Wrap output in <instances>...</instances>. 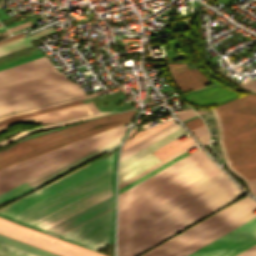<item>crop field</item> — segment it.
<instances>
[{"label":"crop field","mask_w":256,"mask_h":256,"mask_svg":"<svg viewBox=\"0 0 256 256\" xmlns=\"http://www.w3.org/2000/svg\"><path fill=\"white\" fill-rule=\"evenodd\" d=\"M115 154L0 208V215L43 231L115 194Z\"/></svg>","instance_id":"obj_1"},{"label":"crop field","mask_w":256,"mask_h":256,"mask_svg":"<svg viewBox=\"0 0 256 256\" xmlns=\"http://www.w3.org/2000/svg\"><path fill=\"white\" fill-rule=\"evenodd\" d=\"M243 195L220 172L118 229V256H136Z\"/></svg>","instance_id":"obj_2"},{"label":"crop field","mask_w":256,"mask_h":256,"mask_svg":"<svg viewBox=\"0 0 256 256\" xmlns=\"http://www.w3.org/2000/svg\"><path fill=\"white\" fill-rule=\"evenodd\" d=\"M220 172L199 149L119 194L118 228Z\"/></svg>","instance_id":"obj_3"},{"label":"crop field","mask_w":256,"mask_h":256,"mask_svg":"<svg viewBox=\"0 0 256 256\" xmlns=\"http://www.w3.org/2000/svg\"><path fill=\"white\" fill-rule=\"evenodd\" d=\"M83 95L45 56L0 71V115Z\"/></svg>","instance_id":"obj_4"},{"label":"crop field","mask_w":256,"mask_h":256,"mask_svg":"<svg viewBox=\"0 0 256 256\" xmlns=\"http://www.w3.org/2000/svg\"><path fill=\"white\" fill-rule=\"evenodd\" d=\"M211 112L225 164L241 179H255L256 96L241 97Z\"/></svg>","instance_id":"obj_5"},{"label":"crop field","mask_w":256,"mask_h":256,"mask_svg":"<svg viewBox=\"0 0 256 256\" xmlns=\"http://www.w3.org/2000/svg\"><path fill=\"white\" fill-rule=\"evenodd\" d=\"M255 208L246 196L140 256H170Z\"/></svg>","instance_id":"obj_6"},{"label":"crop field","mask_w":256,"mask_h":256,"mask_svg":"<svg viewBox=\"0 0 256 256\" xmlns=\"http://www.w3.org/2000/svg\"><path fill=\"white\" fill-rule=\"evenodd\" d=\"M0 233L63 256H104L0 218Z\"/></svg>","instance_id":"obj_7"},{"label":"crop field","mask_w":256,"mask_h":256,"mask_svg":"<svg viewBox=\"0 0 256 256\" xmlns=\"http://www.w3.org/2000/svg\"><path fill=\"white\" fill-rule=\"evenodd\" d=\"M135 111L136 109L122 113H114L94 120H89L82 124L70 126L64 129H60L48 134H44L32 139L19 142L12 147L0 150V161L18 155L20 153L32 150L34 148L49 144L51 142L63 139L65 137L77 134L82 131L132 117Z\"/></svg>","instance_id":"obj_8"},{"label":"crop field","mask_w":256,"mask_h":256,"mask_svg":"<svg viewBox=\"0 0 256 256\" xmlns=\"http://www.w3.org/2000/svg\"><path fill=\"white\" fill-rule=\"evenodd\" d=\"M126 130L127 129L122 130L117 133H114L112 135H109V136L99 139L97 141L91 142V143L81 146L79 148L73 149L71 151L63 153L56 157L50 158L48 160H45L43 162H40L33 166H30V167L23 169L21 171H18L16 173H12V174L8 175L7 177L3 178L2 180H0V193L6 191L16 185H19V184L39 175L47 170H50L66 161H69L81 154H84V153H86L94 148H97L109 141H112V140L122 136Z\"/></svg>","instance_id":"obj_9"},{"label":"crop field","mask_w":256,"mask_h":256,"mask_svg":"<svg viewBox=\"0 0 256 256\" xmlns=\"http://www.w3.org/2000/svg\"><path fill=\"white\" fill-rule=\"evenodd\" d=\"M256 243V218L188 256H234Z\"/></svg>","instance_id":"obj_10"},{"label":"crop field","mask_w":256,"mask_h":256,"mask_svg":"<svg viewBox=\"0 0 256 256\" xmlns=\"http://www.w3.org/2000/svg\"><path fill=\"white\" fill-rule=\"evenodd\" d=\"M115 209L61 236L72 243L96 250L114 241Z\"/></svg>","instance_id":"obj_11"},{"label":"crop field","mask_w":256,"mask_h":256,"mask_svg":"<svg viewBox=\"0 0 256 256\" xmlns=\"http://www.w3.org/2000/svg\"><path fill=\"white\" fill-rule=\"evenodd\" d=\"M183 134L185 133L180 128L172 132L171 134L163 137L162 139L154 142L153 144L147 146L146 148L138 151L137 153L129 156L128 158L120 161L118 184L124 182L132 176L161 161L151 152Z\"/></svg>","instance_id":"obj_12"},{"label":"crop field","mask_w":256,"mask_h":256,"mask_svg":"<svg viewBox=\"0 0 256 256\" xmlns=\"http://www.w3.org/2000/svg\"><path fill=\"white\" fill-rule=\"evenodd\" d=\"M121 138L122 137L0 194V203L20 196V195L32 190L33 188L39 186L40 184L44 183L45 181L57 176L58 174L68 170L69 168L77 165L78 163L118 144V142L120 141Z\"/></svg>","instance_id":"obj_13"},{"label":"crop field","mask_w":256,"mask_h":256,"mask_svg":"<svg viewBox=\"0 0 256 256\" xmlns=\"http://www.w3.org/2000/svg\"><path fill=\"white\" fill-rule=\"evenodd\" d=\"M113 208H115V195L91 206L90 208L43 232L59 237Z\"/></svg>","instance_id":"obj_14"},{"label":"crop field","mask_w":256,"mask_h":256,"mask_svg":"<svg viewBox=\"0 0 256 256\" xmlns=\"http://www.w3.org/2000/svg\"><path fill=\"white\" fill-rule=\"evenodd\" d=\"M122 129H125L124 125L118 126V127H116V128L107 130V131H105V132H102V133L93 135V136H91V137L82 139V140H80V141L71 143V144H69V145H66V146L57 148V149H55V150L46 152V153H44V154L35 156V157H33V158H30V159H27V160H24V161H21V162H19V163L10 165V166H8V167H5V168H3V169L0 170V179H2L3 177L7 176L8 174H10V173H12V172H14V171H17V170H19V169L25 168V167H27V166H30V165L35 164V163H37V162L43 161V160L48 159V158H50V157H53V156H55V155L61 154V153H63V152H66V151L71 150V149H73V148H76V147H78V146L84 145V144L89 143V142H91V141H94V140H96V139H99V138H102V137L107 136V135H109V134H112V133H114V132L120 131V130H122Z\"/></svg>","instance_id":"obj_15"},{"label":"crop field","mask_w":256,"mask_h":256,"mask_svg":"<svg viewBox=\"0 0 256 256\" xmlns=\"http://www.w3.org/2000/svg\"><path fill=\"white\" fill-rule=\"evenodd\" d=\"M97 112H99V111L94 106V104L89 102L86 104H82V105H78V106H74V107H70V108H66V109H62V110H57V111H53V112H49V113H45V114H41V115H36V116L12 121L6 125L1 126L0 132L5 130L9 125H11L13 123L32 119V118H34L36 123H51V122H56V121L65 120V119H69V118L93 114V113H97Z\"/></svg>","instance_id":"obj_16"},{"label":"crop field","mask_w":256,"mask_h":256,"mask_svg":"<svg viewBox=\"0 0 256 256\" xmlns=\"http://www.w3.org/2000/svg\"><path fill=\"white\" fill-rule=\"evenodd\" d=\"M168 66L172 78L182 91L206 88L204 85L209 83L197 68H194L195 71L192 72L193 69L188 70L187 64H168Z\"/></svg>","instance_id":"obj_17"},{"label":"crop field","mask_w":256,"mask_h":256,"mask_svg":"<svg viewBox=\"0 0 256 256\" xmlns=\"http://www.w3.org/2000/svg\"><path fill=\"white\" fill-rule=\"evenodd\" d=\"M131 119H132V118H129V119L122 120V121H119V122H116V123H112V124H109V125H106V126H102V127L96 128V129H92V130H90V131H87V132H84V133L75 135V136H73V137H70V138H67V139H64V140H61V141L52 143V144H50V145H47V146H44V147H41V148L32 150V151H30V152H27V153H24V154H21V155H18V156L9 158V159H7V160L1 161V162H0V169L3 168V167H5V166H8V165H10V164L19 162V161L24 160V159H27V158H30V157H32V156H35V155L44 153V152H46V151L55 149V148H57V147L66 145V144H68V143H71V142L77 141V140H79V139L88 137V136H90V135H93V134L102 132V131H104V130L113 128V127H115V126L124 124V123H126V122L131 121Z\"/></svg>","instance_id":"obj_18"},{"label":"crop field","mask_w":256,"mask_h":256,"mask_svg":"<svg viewBox=\"0 0 256 256\" xmlns=\"http://www.w3.org/2000/svg\"><path fill=\"white\" fill-rule=\"evenodd\" d=\"M234 97H236L234 91L216 87L188 96H184V99L192 104L205 107V105H218Z\"/></svg>","instance_id":"obj_19"},{"label":"crop field","mask_w":256,"mask_h":256,"mask_svg":"<svg viewBox=\"0 0 256 256\" xmlns=\"http://www.w3.org/2000/svg\"><path fill=\"white\" fill-rule=\"evenodd\" d=\"M254 217H256V215L250 212V213L244 215L243 217H241V218L235 220L234 222H232V223L226 225L225 227H223V228L217 230L216 232H214V233L208 235L207 237L201 239L200 241H198V242L192 244L191 246H189V247L183 249L182 251H180V252L174 254L173 256H186V255H188L189 253H191V252L197 250L198 248H200V247L206 245L207 243H209V242L215 240L216 238H218V237L224 235L225 233L231 231L232 229H234V228L240 226L241 224H243V223L249 221L250 219H252V218H254Z\"/></svg>","instance_id":"obj_20"},{"label":"crop field","mask_w":256,"mask_h":256,"mask_svg":"<svg viewBox=\"0 0 256 256\" xmlns=\"http://www.w3.org/2000/svg\"><path fill=\"white\" fill-rule=\"evenodd\" d=\"M55 32H57V30L52 29L50 27L46 30L32 34L30 36L23 37V38L14 40L12 42L0 45V55H4V54L10 53V52L31 46L32 44L30 41L41 38L43 36H46V35H49L52 33H55Z\"/></svg>","instance_id":"obj_21"},{"label":"crop field","mask_w":256,"mask_h":256,"mask_svg":"<svg viewBox=\"0 0 256 256\" xmlns=\"http://www.w3.org/2000/svg\"><path fill=\"white\" fill-rule=\"evenodd\" d=\"M0 243H3L8 246L20 249L22 251L34 254L36 256H60L58 254L46 251L44 249L35 247L33 245L21 242L19 240L10 238V237L2 235V234H0Z\"/></svg>","instance_id":"obj_22"},{"label":"crop field","mask_w":256,"mask_h":256,"mask_svg":"<svg viewBox=\"0 0 256 256\" xmlns=\"http://www.w3.org/2000/svg\"><path fill=\"white\" fill-rule=\"evenodd\" d=\"M192 143L194 142L188 136L182 142L177 139L152 153L162 160Z\"/></svg>","instance_id":"obj_23"},{"label":"crop field","mask_w":256,"mask_h":256,"mask_svg":"<svg viewBox=\"0 0 256 256\" xmlns=\"http://www.w3.org/2000/svg\"><path fill=\"white\" fill-rule=\"evenodd\" d=\"M172 120H174V119H171V120L166 121V122H164V123H161V124L152 126V127H150V128L144 129V130H142V131H140V132L138 131V132L128 141V139H129V138L132 136V134L136 131V129L133 128L132 131L130 132L129 136H128L127 139H126V141H125V143H124V145H123V147H122V150L125 149V148H127V147H129L130 145H132V144L138 142L139 140L145 138L146 136H148V135L154 133L155 131H157V130L163 128L164 126H166V125L172 123Z\"/></svg>","instance_id":"obj_24"},{"label":"crop field","mask_w":256,"mask_h":256,"mask_svg":"<svg viewBox=\"0 0 256 256\" xmlns=\"http://www.w3.org/2000/svg\"><path fill=\"white\" fill-rule=\"evenodd\" d=\"M102 114H106V113H99V114H95V115H91V116H87V117H82V118H78V119H74V120H70V121L61 122L62 124H60V125L50 124V125H45V126L37 127V128L31 129V130H26V131H23V132L17 134L16 136H14L12 138H8V139H5V140L1 141L0 145L4 144V143H7V142H10V141H13L15 139H18L20 137H23V136H25V135H27L29 133L34 132V131L48 129V128H54V127H59V126H63V125H67V124H71V123H75V122H79V121L85 120L87 118L99 116V115H102Z\"/></svg>","instance_id":"obj_25"},{"label":"crop field","mask_w":256,"mask_h":256,"mask_svg":"<svg viewBox=\"0 0 256 256\" xmlns=\"http://www.w3.org/2000/svg\"><path fill=\"white\" fill-rule=\"evenodd\" d=\"M186 155H188V153H187V152H185V153H183V154L179 155L178 157H176V158H174V159L170 160L169 162H167V163H165V164L161 165L160 167H158V168L154 169L153 171H151V172H149V173L145 174L144 176H142V177L138 178L137 180L133 181L132 183H130V184L126 185L125 187H123V188L119 189V193H121V192L125 191L126 189H128V188L132 187L133 185H135V184H137V183L141 182L142 180H144V179L148 178L149 176H151V175L155 174L156 172H158V171L162 170L163 168H165V167L169 166L170 164H172V163L176 162L177 160H179V159H181V158L185 157Z\"/></svg>","instance_id":"obj_26"},{"label":"crop field","mask_w":256,"mask_h":256,"mask_svg":"<svg viewBox=\"0 0 256 256\" xmlns=\"http://www.w3.org/2000/svg\"><path fill=\"white\" fill-rule=\"evenodd\" d=\"M82 103H83V101L80 100V101H76V102H72V103H68V104H64V105H60V106H56V107H52V108H48V109H44V110H40V111H36V112H32V113H28V114L16 116V117H12V118H9L7 120H4V121L0 122V126L3 125V124H6V123H8L12 120H16V119L36 115V114H41V113H45V112H49V111H53V110H57V109H62V108H66V107H70V106H74V105H78V104H82Z\"/></svg>","instance_id":"obj_27"},{"label":"crop field","mask_w":256,"mask_h":256,"mask_svg":"<svg viewBox=\"0 0 256 256\" xmlns=\"http://www.w3.org/2000/svg\"><path fill=\"white\" fill-rule=\"evenodd\" d=\"M103 92H105V90L97 92V93L90 94L88 96H83V97H79V98H75V99H71V100H67V101H63V102H58V103H54V104L38 107V108H35V109H31V110H27V111H23V112H19V113L5 115V116L0 117V121H2L4 119H7L9 117H12V116H16V115H20V114H24V113H28V112H32V111H36V110H40V109H44V108H48V107H52V106H56V105H60V104L68 103V102H72V101H76V100H80V99H83V98H86V97H90V96L101 94Z\"/></svg>","instance_id":"obj_28"},{"label":"crop field","mask_w":256,"mask_h":256,"mask_svg":"<svg viewBox=\"0 0 256 256\" xmlns=\"http://www.w3.org/2000/svg\"><path fill=\"white\" fill-rule=\"evenodd\" d=\"M194 146H196V145H195V143H194V144H192V145H190V146H188V147H186L185 149H183V150H181V151L177 152L176 154H174V155L170 156L169 158H167V159H165V160L161 161L160 163H158V164H156V165L152 166L151 168H149V169H147V170L143 171L142 173H140V174L136 175L135 177H133V178H131V179L127 180L126 182H124V183H122V184L118 185V188H120V187H122V186L126 185L127 183H129V182H131V181L135 180L136 178H138V177H140V176L144 175L145 173H147V172L151 171L152 169H154V168L158 167L159 165H161V164L165 163L166 161L170 160L171 158H173V157L177 156L178 154H180V153H182V152H184V151H187L188 149H190V148H192V147H194Z\"/></svg>","instance_id":"obj_29"},{"label":"crop field","mask_w":256,"mask_h":256,"mask_svg":"<svg viewBox=\"0 0 256 256\" xmlns=\"http://www.w3.org/2000/svg\"><path fill=\"white\" fill-rule=\"evenodd\" d=\"M178 128H180V127L176 125V126L170 128V129H168L167 131L161 133L160 135H158V136L152 138L151 140L145 142L144 144H142V145L136 147L135 149L129 151L128 153H126V154L120 156V160L123 159V158H125V157H127V156H129L130 154H132V153L138 151L139 149H141V148H143V147L149 145L150 143H152V142H154V141L160 139L161 137H163V136L169 134L170 132H172V131H174V130H176V129H178Z\"/></svg>","instance_id":"obj_30"},{"label":"crop field","mask_w":256,"mask_h":256,"mask_svg":"<svg viewBox=\"0 0 256 256\" xmlns=\"http://www.w3.org/2000/svg\"><path fill=\"white\" fill-rule=\"evenodd\" d=\"M174 125H175V124H173V123H172V124H170V125H168V126L164 127L163 129H161V130H159V131L155 132L154 134H152V135L148 136L147 138H145V139H143V140L139 141L138 143H136V144H134V145L130 146L129 148H127V149H125V150L121 151V154H120V155H122V154H124V153L128 152L129 150H131V149L135 148L136 146H138V145H140V144L144 143L145 141H147V140L151 139L152 137H154V136H156V135L160 134L161 132H163V131L167 130L168 128H170V127H172V126H174Z\"/></svg>","instance_id":"obj_31"},{"label":"crop field","mask_w":256,"mask_h":256,"mask_svg":"<svg viewBox=\"0 0 256 256\" xmlns=\"http://www.w3.org/2000/svg\"><path fill=\"white\" fill-rule=\"evenodd\" d=\"M40 56H43V55L41 53H39V54L32 55V56H29V57H26V58H23V59H20V60H16V61H13V62H10V63H7V64H3V65H0V69H4V68H7V67H10V66H13V65H16V64H19V63H22V62L40 57Z\"/></svg>","instance_id":"obj_32"},{"label":"crop field","mask_w":256,"mask_h":256,"mask_svg":"<svg viewBox=\"0 0 256 256\" xmlns=\"http://www.w3.org/2000/svg\"><path fill=\"white\" fill-rule=\"evenodd\" d=\"M0 249H2V250H4V251H7V252H10V253H13V254H16V255H18V256H34V255H31V254L22 252V251H20V250H17V249L8 247V246L3 245V244H0Z\"/></svg>","instance_id":"obj_33"},{"label":"crop field","mask_w":256,"mask_h":256,"mask_svg":"<svg viewBox=\"0 0 256 256\" xmlns=\"http://www.w3.org/2000/svg\"><path fill=\"white\" fill-rule=\"evenodd\" d=\"M185 125H186L190 130H192V129H195V128H197V127L203 126L204 124H203L202 120L200 119V117H198V118H196V119H194V120H191V121L185 123Z\"/></svg>","instance_id":"obj_34"},{"label":"crop field","mask_w":256,"mask_h":256,"mask_svg":"<svg viewBox=\"0 0 256 256\" xmlns=\"http://www.w3.org/2000/svg\"><path fill=\"white\" fill-rule=\"evenodd\" d=\"M236 256H256V244Z\"/></svg>","instance_id":"obj_35"},{"label":"crop field","mask_w":256,"mask_h":256,"mask_svg":"<svg viewBox=\"0 0 256 256\" xmlns=\"http://www.w3.org/2000/svg\"><path fill=\"white\" fill-rule=\"evenodd\" d=\"M192 133L194 134V136L196 138H198V137H200L202 135L207 134L208 131L206 130L205 126H203V127L198 128V129L192 130Z\"/></svg>","instance_id":"obj_36"},{"label":"crop field","mask_w":256,"mask_h":256,"mask_svg":"<svg viewBox=\"0 0 256 256\" xmlns=\"http://www.w3.org/2000/svg\"><path fill=\"white\" fill-rule=\"evenodd\" d=\"M248 188L252 194L256 196V180L247 181Z\"/></svg>","instance_id":"obj_37"},{"label":"crop field","mask_w":256,"mask_h":256,"mask_svg":"<svg viewBox=\"0 0 256 256\" xmlns=\"http://www.w3.org/2000/svg\"><path fill=\"white\" fill-rule=\"evenodd\" d=\"M242 87L248 89V90H252L256 92V80L249 82L247 84L241 85Z\"/></svg>","instance_id":"obj_38"},{"label":"crop field","mask_w":256,"mask_h":256,"mask_svg":"<svg viewBox=\"0 0 256 256\" xmlns=\"http://www.w3.org/2000/svg\"><path fill=\"white\" fill-rule=\"evenodd\" d=\"M26 26H28V27L32 26L31 22L28 21V22H26V23H23V24H21V25H18V26L14 27V28L9 29V31L12 32V31L18 30V29L23 28V27H26Z\"/></svg>","instance_id":"obj_39"},{"label":"crop field","mask_w":256,"mask_h":256,"mask_svg":"<svg viewBox=\"0 0 256 256\" xmlns=\"http://www.w3.org/2000/svg\"><path fill=\"white\" fill-rule=\"evenodd\" d=\"M194 115H196V114L193 112V110H191V111H189V112L179 116V118L181 119V121H183V120H185L187 118H190V117H192Z\"/></svg>","instance_id":"obj_40"},{"label":"crop field","mask_w":256,"mask_h":256,"mask_svg":"<svg viewBox=\"0 0 256 256\" xmlns=\"http://www.w3.org/2000/svg\"><path fill=\"white\" fill-rule=\"evenodd\" d=\"M198 140H199L203 145L208 144V134L205 135V136H203V137L198 138Z\"/></svg>","instance_id":"obj_41"},{"label":"crop field","mask_w":256,"mask_h":256,"mask_svg":"<svg viewBox=\"0 0 256 256\" xmlns=\"http://www.w3.org/2000/svg\"><path fill=\"white\" fill-rule=\"evenodd\" d=\"M22 36H23V35L20 34V35L14 36V37H12V38H9V39L0 41V44L5 43V42H8V41H11V40H14V39L19 38V37H22Z\"/></svg>","instance_id":"obj_42"},{"label":"crop field","mask_w":256,"mask_h":256,"mask_svg":"<svg viewBox=\"0 0 256 256\" xmlns=\"http://www.w3.org/2000/svg\"><path fill=\"white\" fill-rule=\"evenodd\" d=\"M20 23H22V20H20V21H18V22H15V23H12V24H10V25H7V26H5L7 29H9V28H11V27H13V26H16V25H18V24H20Z\"/></svg>","instance_id":"obj_43"},{"label":"crop field","mask_w":256,"mask_h":256,"mask_svg":"<svg viewBox=\"0 0 256 256\" xmlns=\"http://www.w3.org/2000/svg\"><path fill=\"white\" fill-rule=\"evenodd\" d=\"M0 256H16V255H13V254H10V253L0 250Z\"/></svg>","instance_id":"obj_44"},{"label":"crop field","mask_w":256,"mask_h":256,"mask_svg":"<svg viewBox=\"0 0 256 256\" xmlns=\"http://www.w3.org/2000/svg\"><path fill=\"white\" fill-rule=\"evenodd\" d=\"M2 30H5V28H3L2 26H0V31H2Z\"/></svg>","instance_id":"obj_45"}]
</instances>
